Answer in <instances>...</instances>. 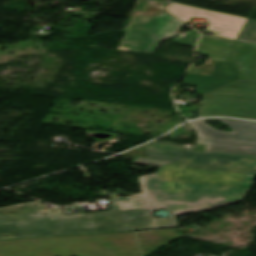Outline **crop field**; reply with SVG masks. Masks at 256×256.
Returning <instances> with one entry per match:
<instances>
[{
  "label": "crop field",
  "instance_id": "crop-field-5",
  "mask_svg": "<svg viewBox=\"0 0 256 256\" xmlns=\"http://www.w3.org/2000/svg\"><path fill=\"white\" fill-rule=\"evenodd\" d=\"M184 25L166 12L132 17L117 49L154 54L163 39H169Z\"/></svg>",
  "mask_w": 256,
  "mask_h": 256
},
{
  "label": "crop field",
  "instance_id": "crop-field-4",
  "mask_svg": "<svg viewBox=\"0 0 256 256\" xmlns=\"http://www.w3.org/2000/svg\"><path fill=\"white\" fill-rule=\"evenodd\" d=\"M183 85H197L201 113L256 119V80L242 79L233 63L217 61L212 76L186 74Z\"/></svg>",
  "mask_w": 256,
  "mask_h": 256
},
{
  "label": "crop field",
  "instance_id": "crop-field-9",
  "mask_svg": "<svg viewBox=\"0 0 256 256\" xmlns=\"http://www.w3.org/2000/svg\"><path fill=\"white\" fill-rule=\"evenodd\" d=\"M230 61H234L244 78L256 75V44L239 42Z\"/></svg>",
  "mask_w": 256,
  "mask_h": 256
},
{
  "label": "crop field",
  "instance_id": "crop-field-13",
  "mask_svg": "<svg viewBox=\"0 0 256 256\" xmlns=\"http://www.w3.org/2000/svg\"><path fill=\"white\" fill-rule=\"evenodd\" d=\"M149 3L148 2H146L145 3V5L142 7V9L141 10H145V8L147 7V5H148ZM163 11L161 10V9H157V8H155L154 6H152L151 4H150V6L147 8V10H146V12H141V11H137L136 12V14H135V16H141V15H143V14H147V15H156V14H160V13H162Z\"/></svg>",
  "mask_w": 256,
  "mask_h": 256
},
{
  "label": "crop field",
  "instance_id": "crop-field-15",
  "mask_svg": "<svg viewBox=\"0 0 256 256\" xmlns=\"http://www.w3.org/2000/svg\"><path fill=\"white\" fill-rule=\"evenodd\" d=\"M152 2L157 3L158 6L161 8L165 7V5L167 4L166 2H161V1H157V0H153Z\"/></svg>",
  "mask_w": 256,
  "mask_h": 256
},
{
  "label": "crop field",
  "instance_id": "crop-field-6",
  "mask_svg": "<svg viewBox=\"0 0 256 256\" xmlns=\"http://www.w3.org/2000/svg\"><path fill=\"white\" fill-rule=\"evenodd\" d=\"M165 10L186 23L193 17H206L208 18L207 31L213 32L217 36L235 40L238 39L247 20L245 17L230 15L176 2H171L166 6Z\"/></svg>",
  "mask_w": 256,
  "mask_h": 256
},
{
  "label": "crop field",
  "instance_id": "crop-field-11",
  "mask_svg": "<svg viewBox=\"0 0 256 256\" xmlns=\"http://www.w3.org/2000/svg\"><path fill=\"white\" fill-rule=\"evenodd\" d=\"M199 33L192 30L191 32L183 35L180 39L173 38L176 44L192 46L194 47L197 41Z\"/></svg>",
  "mask_w": 256,
  "mask_h": 256
},
{
  "label": "crop field",
  "instance_id": "crop-field-10",
  "mask_svg": "<svg viewBox=\"0 0 256 256\" xmlns=\"http://www.w3.org/2000/svg\"><path fill=\"white\" fill-rule=\"evenodd\" d=\"M239 40L256 43V20H247Z\"/></svg>",
  "mask_w": 256,
  "mask_h": 256
},
{
  "label": "crop field",
  "instance_id": "crop-field-8",
  "mask_svg": "<svg viewBox=\"0 0 256 256\" xmlns=\"http://www.w3.org/2000/svg\"><path fill=\"white\" fill-rule=\"evenodd\" d=\"M142 256H146L182 237L174 230L136 233Z\"/></svg>",
  "mask_w": 256,
  "mask_h": 256
},
{
  "label": "crop field",
  "instance_id": "crop-field-2",
  "mask_svg": "<svg viewBox=\"0 0 256 256\" xmlns=\"http://www.w3.org/2000/svg\"><path fill=\"white\" fill-rule=\"evenodd\" d=\"M220 120L233 133L218 131L204 123ZM200 135V144L207 145L205 154L189 148L154 141L146 145L148 158L191 162L256 170V122L231 119H202L191 123Z\"/></svg>",
  "mask_w": 256,
  "mask_h": 256
},
{
  "label": "crop field",
  "instance_id": "crop-field-12",
  "mask_svg": "<svg viewBox=\"0 0 256 256\" xmlns=\"http://www.w3.org/2000/svg\"><path fill=\"white\" fill-rule=\"evenodd\" d=\"M215 62L216 61H214L213 59L209 58L206 61L205 65H200L198 67L192 66L188 73L211 75Z\"/></svg>",
  "mask_w": 256,
  "mask_h": 256
},
{
  "label": "crop field",
  "instance_id": "crop-field-17",
  "mask_svg": "<svg viewBox=\"0 0 256 256\" xmlns=\"http://www.w3.org/2000/svg\"><path fill=\"white\" fill-rule=\"evenodd\" d=\"M0 48H1V46H0Z\"/></svg>",
  "mask_w": 256,
  "mask_h": 256
},
{
  "label": "crop field",
  "instance_id": "crop-field-7",
  "mask_svg": "<svg viewBox=\"0 0 256 256\" xmlns=\"http://www.w3.org/2000/svg\"><path fill=\"white\" fill-rule=\"evenodd\" d=\"M237 41L202 35L198 43L197 53L215 60L228 61Z\"/></svg>",
  "mask_w": 256,
  "mask_h": 256
},
{
  "label": "crop field",
  "instance_id": "crop-field-3",
  "mask_svg": "<svg viewBox=\"0 0 256 256\" xmlns=\"http://www.w3.org/2000/svg\"><path fill=\"white\" fill-rule=\"evenodd\" d=\"M0 256H140L134 232L0 241Z\"/></svg>",
  "mask_w": 256,
  "mask_h": 256
},
{
  "label": "crop field",
  "instance_id": "crop-field-16",
  "mask_svg": "<svg viewBox=\"0 0 256 256\" xmlns=\"http://www.w3.org/2000/svg\"><path fill=\"white\" fill-rule=\"evenodd\" d=\"M202 115V117H204V116H217V115H207V114H201Z\"/></svg>",
  "mask_w": 256,
  "mask_h": 256
},
{
  "label": "crop field",
  "instance_id": "crop-field-14",
  "mask_svg": "<svg viewBox=\"0 0 256 256\" xmlns=\"http://www.w3.org/2000/svg\"><path fill=\"white\" fill-rule=\"evenodd\" d=\"M123 155L147 158L145 145L129 152L123 153Z\"/></svg>",
  "mask_w": 256,
  "mask_h": 256
},
{
  "label": "crop field",
  "instance_id": "crop-field-1",
  "mask_svg": "<svg viewBox=\"0 0 256 256\" xmlns=\"http://www.w3.org/2000/svg\"><path fill=\"white\" fill-rule=\"evenodd\" d=\"M136 164L160 165L140 177L143 194L110 199V211L64 215L46 211L38 201L0 208V240L178 227L175 215L244 200L256 171L138 158ZM171 212L157 219L153 212Z\"/></svg>",
  "mask_w": 256,
  "mask_h": 256
}]
</instances>
